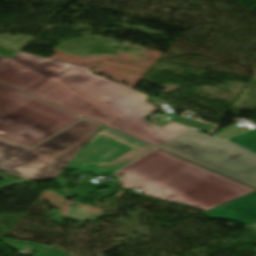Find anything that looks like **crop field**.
I'll list each match as a JSON object with an SVG mask.
<instances>
[{
	"label": "crop field",
	"instance_id": "8a807250",
	"mask_svg": "<svg viewBox=\"0 0 256 256\" xmlns=\"http://www.w3.org/2000/svg\"><path fill=\"white\" fill-rule=\"evenodd\" d=\"M91 71L23 52L11 60L0 58V82L155 147L191 129L147 121L144 116L159 109L145 101L147 94Z\"/></svg>",
	"mask_w": 256,
	"mask_h": 256
},
{
	"label": "crop field",
	"instance_id": "ac0d7876",
	"mask_svg": "<svg viewBox=\"0 0 256 256\" xmlns=\"http://www.w3.org/2000/svg\"><path fill=\"white\" fill-rule=\"evenodd\" d=\"M116 174L123 176L124 187L203 211L255 191L159 149Z\"/></svg>",
	"mask_w": 256,
	"mask_h": 256
},
{
	"label": "crop field",
	"instance_id": "34b2d1b8",
	"mask_svg": "<svg viewBox=\"0 0 256 256\" xmlns=\"http://www.w3.org/2000/svg\"><path fill=\"white\" fill-rule=\"evenodd\" d=\"M99 128L81 120L31 150L0 139V168L29 180L57 177Z\"/></svg>",
	"mask_w": 256,
	"mask_h": 256
},
{
	"label": "crop field",
	"instance_id": "412701ff",
	"mask_svg": "<svg viewBox=\"0 0 256 256\" xmlns=\"http://www.w3.org/2000/svg\"><path fill=\"white\" fill-rule=\"evenodd\" d=\"M81 118L0 84V136L3 138L32 147Z\"/></svg>",
	"mask_w": 256,
	"mask_h": 256
},
{
	"label": "crop field",
	"instance_id": "f4fd0767",
	"mask_svg": "<svg viewBox=\"0 0 256 256\" xmlns=\"http://www.w3.org/2000/svg\"><path fill=\"white\" fill-rule=\"evenodd\" d=\"M221 140L192 131L160 148L256 188V155Z\"/></svg>",
	"mask_w": 256,
	"mask_h": 256
},
{
	"label": "crop field",
	"instance_id": "dd49c442",
	"mask_svg": "<svg viewBox=\"0 0 256 256\" xmlns=\"http://www.w3.org/2000/svg\"><path fill=\"white\" fill-rule=\"evenodd\" d=\"M131 149L101 135L92 143H86L67 167L86 171L102 161L110 162Z\"/></svg>",
	"mask_w": 256,
	"mask_h": 256
},
{
	"label": "crop field",
	"instance_id": "e52e79f7",
	"mask_svg": "<svg viewBox=\"0 0 256 256\" xmlns=\"http://www.w3.org/2000/svg\"><path fill=\"white\" fill-rule=\"evenodd\" d=\"M101 134H103L107 137H110L114 140H117L119 142H122L126 145H129L135 149L118 157L117 159H115L114 161H112L110 163L102 162L87 171V172H90V173H93L96 175H99L103 172H112L113 173V172L117 171L118 169L122 168L123 166L127 165L128 163L132 162L133 160L139 158L140 156H142L145 153L154 149L148 145H145L141 142H138L134 139H131L127 136H124L122 134L116 133L114 131L108 130L103 127H101L99 129V131L88 142H92Z\"/></svg>",
	"mask_w": 256,
	"mask_h": 256
},
{
	"label": "crop field",
	"instance_id": "d8731c3e",
	"mask_svg": "<svg viewBox=\"0 0 256 256\" xmlns=\"http://www.w3.org/2000/svg\"><path fill=\"white\" fill-rule=\"evenodd\" d=\"M207 217L236 221L245 225L256 221V191L208 210Z\"/></svg>",
	"mask_w": 256,
	"mask_h": 256
},
{
	"label": "crop field",
	"instance_id": "5a996713",
	"mask_svg": "<svg viewBox=\"0 0 256 256\" xmlns=\"http://www.w3.org/2000/svg\"><path fill=\"white\" fill-rule=\"evenodd\" d=\"M55 180L58 181L61 184L59 192L66 198L73 197V196L82 197V196H85V195H89V193L94 192V191H96L99 198L100 197H107L111 194L116 193L115 190L117 189V187H115L113 185H110L106 182L96 184L93 181L88 180V181L78 183V185H79L78 189L65 191V190H63V188L65 187V185L63 183H65L66 180L61 179V178H56ZM102 186L108 187V190H106V191H97V188L102 187Z\"/></svg>",
	"mask_w": 256,
	"mask_h": 256
},
{
	"label": "crop field",
	"instance_id": "3316defc",
	"mask_svg": "<svg viewBox=\"0 0 256 256\" xmlns=\"http://www.w3.org/2000/svg\"><path fill=\"white\" fill-rule=\"evenodd\" d=\"M229 140L256 152V130L231 138Z\"/></svg>",
	"mask_w": 256,
	"mask_h": 256
},
{
	"label": "crop field",
	"instance_id": "28ad6ade",
	"mask_svg": "<svg viewBox=\"0 0 256 256\" xmlns=\"http://www.w3.org/2000/svg\"><path fill=\"white\" fill-rule=\"evenodd\" d=\"M238 127H239V126L235 124V125H233V126L227 128V129L221 131L219 134H217V136H220V137H223V138L226 139V138H229V137L234 136V135H236V134H239V133H241V132L235 130V129L238 128Z\"/></svg>",
	"mask_w": 256,
	"mask_h": 256
},
{
	"label": "crop field",
	"instance_id": "d1516ede",
	"mask_svg": "<svg viewBox=\"0 0 256 256\" xmlns=\"http://www.w3.org/2000/svg\"><path fill=\"white\" fill-rule=\"evenodd\" d=\"M248 226L256 232V222Z\"/></svg>",
	"mask_w": 256,
	"mask_h": 256
},
{
	"label": "crop field",
	"instance_id": "22f410ed",
	"mask_svg": "<svg viewBox=\"0 0 256 256\" xmlns=\"http://www.w3.org/2000/svg\"><path fill=\"white\" fill-rule=\"evenodd\" d=\"M3 55L0 54V57H2Z\"/></svg>",
	"mask_w": 256,
	"mask_h": 256
}]
</instances>
